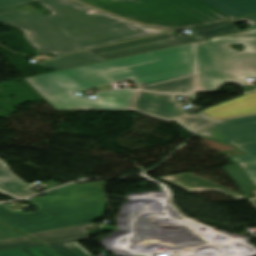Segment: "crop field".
<instances>
[{"label": "crop field", "mask_w": 256, "mask_h": 256, "mask_svg": "<svg viewBox=\"0 0 256 256\" xmlns=\"http://www.w3.org/2000/svg\"><path fill=\"white\" fill-rule=\"evenodd\" d=\"M149 53L53 72L25 80L56 110H87L96 105H117L121 110H132L178 124L194 133L214 121L201 115H189L174 101L176 95L153 94L137 90H116L95 93L97 100L78 97L73 92L95 88L111 81L106 71L155 61Z\"/></svg>", "instance_id": "8a807250"}, {"label": "crop field", "mask_w": 256, "mask_h": 256, "mask_svg": "<svg viewBox=\"0 0 256 256\" xmlns=\"http://www.w3.org/2000/svg\"><path fill=\"white\" fill-rule=\"evenodd\" d=\"M154 27L179 30L256 13V0H80Z\"/></svg>", "instance_id": "ac0d7876"}, {"label": "crop field", "mask_w": 256, "mask_h": 256, "mask_svg": "<svg viewBox=\"0 0 256 256\" xmlns=\"http://www.w3.org/2000/svg\"><path fill=\"white\" fill-rule=\"evenodd\" d=\"M103 182L75 183L53 190L57 195L27 202L36 204L37 212H13L0 205V221L26 233L69 227L91 222L103 208Z\"/></svg>", "instance_id": "34b2d1b8"}, {"label": "crop field", "mask_w": 256, "mask_h": 256, "mask_svg": "<svg viewBox=\"0 0 256 256\" xmlns=\"http://www.w3.org/2000/svg\"><path fill=\"white\" fill-rule=\"evenodd\" d=\"M36 1L51 11L47 16L79 50L166 32L113 17L72 0Z\"/></svg>", "instance_id": "412701ff"}, {"label": "crop field", "mask_w": 256, "mask_h": 256, "mask_svg": "<svg viewBox=\"0 0 256 256\" xmlns=\"http://www.w3.org/2000/svg\"><path fill=\"white\" fill-rule=\"evenodd\" d=\"M243 44V51L226 47ZM256 77V39L213 38L195 43L196 93L217 91L225 83H236L245 94L256 86L245 78Z\"/></svg>", "instance_id": "f4fd0767"}, {"label": "crop field", "mask_w": 256, "mask_h": 256, "mask_svg": "<svg viewBox=\"0 0 256 256\" xmlns=\"http://www.w3.org/2000/svg\"><path fill=\"white\" fill-rule=\"evenodd\" d=\"M150 54L158 61L105 74L112 82L130 78L137 88L194 75V43Z\"/></svg>", "instance_id": "dd49c442"}, {"label": "crop field", "mask_w": 256, "mask_h": 256, "mask_svg": "<svg viewBox=\"0 0 256 256\" xmlns=\"http://www.w3.org/2000/svg\"><path fill=\"white\" fill-rule=\"evenodd\" d=\"M0 22L24 31L27 41L42 54L58 57L79 51L45 15L11 9L0 13Z\"/></svg>", "instance_id": "e52e79f7"}, {"label": "crop field", "mask_w": 256, "mask_h": 256, "mask_svg": "<svg viewBox=\"0 0 256 256\" xmlns=\"http://www.w3.org/2000/svg\"><path fill=\"white\" fill-rule=\"evenodd\" d=\"M203 39H208V38H202V37H196V36L177 38L174 35L167 33V34L154 36L150 38L95 48V49L87 50L85 52H88L90 54L103 58L105 60H109V59L118 58L122 56L150 51V50H154L162 47L172 46V45L191 42V41L203 40Z\"/></svg>", "instance_id": "d8731c3e"}, {"label": "crop field", "mask_w": 256, "mask_h": 256, "mask_svg": "<svg viewBox=\"0 0 256 256\" xmlns=\"http://www.w3.org/2000/svg\"><path fill=\"white\" fill-rule=\"evenodd\" d=\"M214 119H224L256 112V91L202 111Z\"/></svg>", "instance_id": "5a996713"}, {"label": "crop field", "mask_w": 256, "mask_h": 256, "mask_svg": "<svg viewBox=\"0 0 256 256\" xmlns=\"http://www.w3.org/2000/svg\"><path fill=\"white\" fill-rule=\"evenodd\" d=\"M254 121H256V115L247 116V117H243V118H239V119L226 120V121L220 122L216 125H213L207 129H205L203 132L199 133L197 136L198 137H206V138H210L217 142L229 144L232 147H234L236 150L241 152L242 153L241 155L228 157V159H230L235 164L245 162V161L256 160V158L254 156H252L251 154L232 145L226 132L223 129L224 126L242 124V123H248V122H254Z\"/></svg>", "instance_id": "3316defc"}, {"label": "crop field", "mask_w": 256, "mask_h": 256, "mask_svg": "<svg viewBox=\"0 0 256 256\" xmlns=\"http://www.w3.org/2000/svg\"><path fill=\"white\" fill-rule=\"evenodd\" d=\"M160 179L166 182H169L177 187H180L186 191L197 192V191L215 190V191L222 192L234 199L245 198L235 193H232L233 191L230 192L222 187H219L211 182H208L190 173L168 176Z\"/></svg>", "instance_id": "28ad6ade"}, {"label": "crop field", "mask_w": 256, "mask_h": 256, "mask_svg": "<svg viewBox=\"0 0 256 256\" xmlns=\"http://www.w3.org/2000/svg\"><path fill=\"white\" fill-rule=\"evenodd\" d=\"M247 197L256 196V161L224 167Z\"/></svg>", "instance_id": "d1516ede"}, {"label": "crop field", "mask_w": 256, "mask_h": 256, "mask_svg": "<svg viewBox=\"0 0 256 256\" xmlns=\"http://www.w3.org/2000/svg\"><path fill=\"white\" fill-rule=\"evenodd\" d=\"M36 186V184H27L19 178L12 175V171L7 165L0 160V191L4 192L14 198L28 197L34 192L29 189Z\"/></svg>", "instance_id": "22f410ed"}, {"label": "crop field", "mask_w": 256, "mask_h": 256, "mask_svg": "<svg viewBox=\"0 0 256 256\" xmlns=\"http://www.w3.org/2000/svg\"><path fill=\"white\" fill-rule=\"evenodd\" d=\"M224 128L233 144L256 157V122Z\"/></svg>", "instance_id": "cbeb9de0"}, {"label": "crop field", "mask_w": 256, "mask_h": 256, "mask_svg": "<svg viewBox=\"0 0 256 256\" xmlns=\"http://www.w3.org/2000/svg\"><path fill=\"white\" fill-rule=\"evenodd\" d=\"M89 227L99 228L100 226L94 223H89V224H84V225H79V226H74L69 228L37 232V233L29 234V236L43 243H48V242L61 241V240L88 236L87 229Z\"/></svg>", "instance_id": "5142ce71"}, {"label": "crop field", "mask_w": 256, "mask_h": 256, "mask_svg": "<svg viewBox=\"0 0 256 256\" xmlns=\"http://www.w3.org/2000/svg\"><path fill=\"white\" fill-rule=\"evenodd\" d=\"M100 61L104 60L85 52H79L59 59L48 61L42 64H37V66L42 68H51L57 71L64 68L76 67Z\"/></svg>", "instance_id": "d9b57169"}, {"label": "crop field", "mask_w": 256, "mask_h": 256, "mask_svg": "<svg viewBox=\"0 0 256 256\" xmlns=\"http://www.w3.org/2000/svg\"><path fill=\"white\" fill-rule=\"evenodd\" d=\"M142 90H151L158 92H167V93H179L190 99H195V80L194 76L187 77L179 80H174L170 82H165L145 88Z\"/></svg>", "instance_id": "733c2abd"}, {"label": "crop field", "mask_w": 256, "mask_h": 256, "mask_svg": "<svg viewBox=\"0 0 256 256\" xmlns=\"http://www.w3.org/2000/svg\"><path fill=\"white\" fill-rule=\"evenodd\" d=\"M20 247L29 256H55L44 245L28 238L21 237L0 241V250Z\"/></svg>", "instance_id": "4a817a6b"}, {"label": "crop field", "mask_w": 256, "mask_h": 256, "mask_svg": "<svg viewBox=\"0 0 256 256\" xmlns=\"http://www.w3.org/2000/svg\"><path fill=\"white\" fill-rule=\"evenodd\" d=\"M85 239L86 237L74 240L48 243L46 245L50 247L59 256H92L76 243L78 241Z\"/></svg>", "instance_id": "bc2a9ffb"}, {"label": "crop field", "mask_w": 256, "mask_h": 256, "mask_svg": "<svg viewBox=\"0 0 256 256\" xmlns=\"http://www.w3.org/2000/svg\"><path fill=\"white\" fill-rule=\"evenodd\" d=\"M193 30H194L195 34H198V35L205 34L210 37H215V36L224 35V34L233 33V32L238 31L230 24L229 21H225V22H221V23H217V24H213V25H209V26H205V27H201V28H196Z\"/></svg>", "instance_id": "214f88e0"}, {"label": "crop field", "mask_w": 256, "mask_h": 256, "mask_svg": "<svg viewBox=\"0 0 256 256\" xmlns=\"http://www.w3.org/2000/svg\"><path fill=\"white\" fill-rule=\"evenodd\" d=\"M31 2L34 0H0V12Z\"/></svg>", "instance_id": "92a150f3"}, {"label": "crop field", "mask_w": 256, "mask_h": 256, "mask_svg": "<svg viewBox=\"0 0 256 256\" xmlns=\"http://www.w3.org/2000/svg\"><path fill=\"white\" fill-rule=\"evenodd\" d=\"M24 236L0 223V240Z\"/></svg>", "instance_id": "dafd665d"}, {"label": "crop field", "mask_w": 256, "mask_h": 256, "mask_svg": "<svg viewBox=\"0 0 256 256\" xmlns=\"http://www.w3.org/2000/svg\"><path fill=\"white\" fill-rule=\"evenodd\" d=\"M238 21H244L246 22L250 28L246 29V30H250V29H255L256 28V15H252V16H247V17H243V18H238V19H234L233 22H238ZM245 31V30H243Z\"/></svg>", "instance_id": "00972430"}, {"label": "crop field", "mask_w": 256, "mask_h": 256, "mask_svg": "<svg viewBox=\"0 0 256 256\" xmlns=\"http://www.w3.org/2000/svg\"><path fill=\"white\" fill-rule=\"evenodd\" d=\"M223 37H235V38H256V29L255 30H250V31H245V32H240L236 34H231Z\"/></svg>", "instance_id": "a9b5d70f"}, {"label": "crop field", "mask_w": 256, "mask_h": 256, "mask_svg": "<svg viewBox=\"0 0 256 256\" xmlns=\"http://www.w3.org/2000/svg\"><path fill=\"white\" fill-rule=\"evenodd\" d=\"M0 256H28L20 248L0 251Z\"/></svg>", "instance_id": "4177f3b9"}, {"label": "crop field", "mask_w": 256, "mask_h": 256, "mask_svg": "<svg viewBox=\"0 0 256 256\" xmlns=\"http://www.w3.org/2000/svg\"><path fill=\"white\" fill-rule=\"evenodd\" d=\"M89 110H120L119 107L116 106H97L91 107Z\"/></svg>", "instance_id": "730fd06b"}, {"label": "crop field", "mask_w": 256, "mask_h": 256, "mask_svg": "<svg viewBox=\"0 0 256 256\" xmlns=\"http://www.w3.org/2000/svg\"><path fill=\"white\" fill-rule=\"evenodd\" d=\"M33 52L36 54V56L31 57V58H37V57H40V56H39V55H40V53H39V52H37L36 50H34Z\"/></svg>", "instance_id": "eef30255"}, {"label": "crop field", "mask_w": 256, "mask_h": 256, "mask_svg": "<svg viewBox=\"0 0 256 256\" xmlns=\"http://www.w3.org/2000/svg\"><path fill=\"white\" fill-rule=\"evenodd\" d=\"M251 200V202L255 205V207H256V198H252V199H250Z\"/></svg>", "instance_id": "ae1a2a85"}]
</instances>
